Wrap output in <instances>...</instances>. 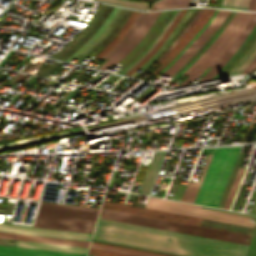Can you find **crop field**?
I'll list each match as a JSON object with an SVG mask.
<instances>
[{
	"label": "crop field",
	"instance_id": "crop-field-1",
	"mask_svg": "<svg viewBox=\"0 0 256 256\" xmlns=\"http://www.w3.org/2000/svg\"><path fill=\"white\" fill-rule=\"evenodd\" d=\"M93 238L190 256H245L248 247L101 218Z\"/></svg>",
	"mask_w": 256,
	"mask_h": 256
},
{
	"label": "crop field",
	"instance_id": "crop-field-11",
	"mask_svg": "<svg viewBox=\"0 0 256 256\" xmlns=\"http://www.w3.org/2000/svg\"><path fill=\"white\" fill-rule=\"evenodd\" d=\"M256 24V13H254L252 19L238 36V38L234 41V43L229 47V49L225 52V54L217 61V63L199 80H209L212 79L216 73L225 65V63L232 57L244 39L247 37L251 29ZM198 82V81H197Z\"/></svg>",
	"mask_w": 256,
	"mask_h": 256
},
{
	"label": "crop field",
	"instance_id": "crop-field-18",
	"mask_svg": "<svg viewBox=\"0 0 256 256\" xmlns=\"http://www.w3.org/2000/svg\"><path fill=\"white\" fill-rule=\"evenodd\" d=\"M146 13H142L140 12V14L137 16V18L135 19V21L133 22V24L131 25V27L129 28V30L127 31V33L125 34V36L123 37V39L112 49L110 50L105 56L104 58L109 59L112 55H114L122 46H124L128 40L130 39V37L132 36V34L134 33V31L136 30V28L139 26V24L141 23V21L143 20V18L145 17Z\"/></svg>",
	"mask_w": 256,
	"mask_h": 256
},
{
	"label": "crop field",
	"instance_id": "crop-field-13",
	"mask_svg": "<svg viewBox=\"0 0 256 256\" xmlns=\"http://www.w3.org/2000/svg\"><path fill=\"white\" fill-rule=\"evenodd\" d=\"M215 9H209L203 19L193 28V30L183 39V41L178 45V47L173 51V53L169 56V58L160 66L158 67L150 76H148L145 80L150 78L152 75H156L160 72L166 65H168L175 56L184 48V46L193 38V36L202 28V26L209 20L211 15Z\"/></svg>",
	"mask_w": 256,
	"mask_h": 256
},
{
	"label": "crop field",
	"instance_id": "crop-field-17",
	"mask_svg": "<svg viewBox=\"0 0 256 256\" xmlns=\"http://www.w3.org/2000/svg\"><path fill=\"white\" fill-rule=\"evenodd\" d=\"M118 10L119 8L114 7L112 11L109 13V15L107 16V18L102 23V25L99 27V29L75 53L69 56L65 61L69 62L78 54H82L89 47V45L104 31V29L107 27V25L112 20V18L114 17V15L117 13Z\"/></svg>",
	"mask_w": 256,
	"mask_h": 256
},
{
	"label": "crop field",
	"instance_id": "crop-field-12",
	"mask_svg": "<svg viewBox=\"0 0 256 256\" xmlns=\"http://www.w3.org/2000/svg\"><path fill=\"white\" fill-rule=\"evenodd\" d=\"M0 256H85L81 254L0 246Z\"/></svg>",
	"mask_w": 256,
	"mask_h": 256
},
{
	"label": "crop field",
	"instance_id": "crop-field-6",
	"mask_svg": "<svg viewBox=\"0 0 256 256\" xmlns=\"http://www.w3.org/2000/svg\"><path fill=\"white\" fill-rule=\"evenodd\" d=\"M147 208H153L158 210H164L174 213H180L185 215H191L196 217H202L207 219H213L218 221H224L234 224H240L253 227L255 223L246 222L247 216L235 215L220 211H214L201 208L199 205L186 204L180 202H174L164 199H158L149 197L146 206Z\"/></svg>",
	"mask_w": 256,
	"mask_h": 256
},
{
	"label": "crop field",
	"instance_id": "crop-field-4",
	"mask_svg": "<svg viewBox=\"0 0 256 256\" xmlns=\"http://www.w3.org/2000/svg\"><path fill=\"white\" fill-rule=\"evenodd\" d=\"M99 216L103 218H108V219L130 222V223H135V224H140L145 226L167 229V230L188 233V234H193L198 236H204V237H209V238H214L219 240H225V241H230L235 243H241L246 245L249 244V240L251 237L249 235H243V234H238L233 232H227V231H222L217 229H211V228H206L201 226L168 221V220L152 218V217L136 215V214L120 212V211L104 209V208L101 209ZM246 239H248V241H246Z\"/></svg>",
	"mask_w": 256,
	"mask_h": 256
},
{
	"label": "crop field",
	"instance_id": "crop-field-9",
	"mask_svg": "<svg viewBox=\"0 0 256 256\" xmlns=\"http://www.w3.org/2000/svg\"><path fill=\"white\" fill-rule=\"evenodd\" d=\"M0 231L11 232V233H20V234H29V235L57 237V238H66V239L85 240V241H89L90 235H91V234H87V233L38 229V228L2 225V224H0Z\"/></svg>",
	"mask_w": 256,
	"mask_h": 256
},
{
	"label": "crop field",
	"instance_id": "crop-field-29",
	"mask_svg": "<svg viewBox=\"0 0 256 256\" xmlns=\"http://www.w3.org/2000/svg\"><path fill=\"white\" fill-rule=\"evenodd\" d=\"M208 11L207 8H205V10L203 11V13L200 15V17L196 20V22L191 26V28L185 33V35L179 40V42L173 47V49L167 54V56L161 61L159 62L162 63L164 60H166L168 58V56L172 53V51L177 47V45L181 42V40L192 30V28L202 19V17L205 15V13ZM183 41V40H182Z\"/></svg>",
	"mask_w": 256,
	"mask_h": 256
},
{
	"label": "crop field",
	"instance_id": "crop-field-32",
	"mask_svg": "<svg viewBox=\"0 0 256 256\" xmlns=\"http://www.w3.org/2000/svg\"><path fill=\"white\" fill-rule=\"evenodd\" d=\"M139 14V12L136 13V15L134 16V18L131 20V22L129 23L127 29L124 31V33L121 35V37L114 43L112 44L103 54H101L98 59H101L111 48H113L124 36V34L126 33V31L128 30V28L130 27V25L132 24V22L134 21V19L136 18V16Z\"/></svg>",
	"mask_w": 256,
	"mask_h": 256
},
{
	"label": "crop field",
	"instance_id": "crop-field-14",
	"mask_svg": "<svg viewBox=\"0 0 256 256\" xmlns=\"http://www.w3.org/2000/svg\"><path fill=\"white\" fill-rule=\"evenodd\" d=\"M16 246L85 254L87 248L17 240Z\"/></svg>",
	"mask_w": 256,
	"mask_h": 256
},
{
	"label": "crop field",
	"instance_id": "crop-field-5",
	"mask_svg": "<svg viewBox=\"0 0 256 256\" xmlns=\"http://www.w3.org/2000/svg\"><path fill=\"white\" fill-rule=\"evenodd\" d=\"M253 13L239 12L221 32V34L212 42V44L204 51L199 59L191 65L184 74L189 77L186 78L181 84L185 85L199 76L208 66L212 67L213 64L224 54L228 47L237 38L243 28L251 19Z\"/></svg>",
	"mask_w": 256,
	"mask_h": 256
},
{
	"label": "crop field",
	"instance_id": "crop-field-16",
	"mask_svg": "<svg viewBox=\"0 0 256 256\" xmlns=\"http://www.w3.org/2000/svg\"><path fill=\"white\" fill-rule=\"evenodd\" d=\"M188 9H184L180 12V14L177 16V18L174 20V22L171 24V26L168 28V30L164 33V35L161 37V39L158 41V43L155 45V47L152 49V51L143 58L134 68H132L125 76H131L134 74L146 61H148L159 49V47L162 45V43L165 41V39L168 37V35L171 33V31L174 29V27L177 25V23L180 21V19L183 17V15L187 12Z\"/></svg>",
	"mask_w": 256,
	"mask_h": 256
},
{
	"label": "crop field",
	"instance_id": "crop-field-36",
	"mask_svg": "<svg viewBox=\"0 0 256 256\" xmlns=\"http://www.w3.org/2000/svg\"><path fill=\"white\" fill-rule=\"evenodd\" d=\"M93 244H99V245H105V246H110V247L122 248V249L133 250V251H139V252L150 253V254H156V255H161V256H167V255H162V254H157V253H151V252H146V251H140V250H135V249H129V248H124V247H118V246H113V245H107V244H102V243H96V242H93Z\"/></svg>",
	"mask_w": 256,
	"mask_h": 256
},
{
	"label": "crop field",
	"instance_id": "crop-field-31",
	"mask_svg": "<svg viewBox=\"0 0 256 256\" xmlns=\"http://www.w3.org/2000/svg\"><path fill=\"white\" fill-rule=\"evenodd\" d=\"M256 55V48L252 52V54L246 59V61L233 73V74H238L243 71V69L249 64V62L253 59V57Z\"/></svg>",
	"mask_w": 256,
	"mask_h": 256
},
{
	"label": "crop field",
	"instance_id": "crop-field-21",
	"mask_svg": "<svg viewBox=\"0 0 256 256\" xmlns=\"http://www.w3.org/2000/svg\"><path fill=\"white\" fill-rule=\"evenodd\" d=\"M0 235L41 239V240H50V241H58V242H67V243H76V244H84V245H88V243H89V242H85V241L66 240V239H57V238H48V237H39V236H29V235L11 234V233H3V232H0Z\"/></svg>",
	"mask_w": 256,
	"mask_h": 256
},
{
	"label": "crop field",
	"instance_id": "crop-field-33",
	"mask_svg": "<svg viewBox=\"0 0 256 256\" xmlns=\"http://www.w3.org/2000/svg\"><path fill=\"white\" fill-rule=\"evenodd\" d=\"M247 256H256V237H252L250 248Z\"/></svg>",
	"mask_w": 256,
	"mask_h": 256
},
{
	"label": "crop field",
	"instance_id": "crop-field-24",
	"mask_svg": "<svg viewBox=\"0 0 256 256\" xmlns=\"http://www.w3.org/2000/svg\"><path fill=\"white\" fill-rule=\"evenodd\" d=\"M181 10H178L177 13L173 16V18L169 21V23L165 26V28L162 30V32L159 34V36L156 38V40L153 42V44L149 47V49L132 65L130 66L122 75L127 73L132 67H134L145 55H147L150 50L153 48V46L157 43V41L160 39V37L163 35V33L167 30V28L170 26V24L173 22V20L176 18V16L179 14Z\"/></svg>",
	"mask_w": 256,
	"mask_h": 256
},
{
	"label": "crop field",
	"instance_id": "crop-field-26",
	"mask_svg": "<svg viewBox=\"0 0 256 256\" xmlns=\"http://www.w3.org/2000/svg\"><path fill=\"white\" fill-rule=\"evenodd\" d=\"M90 247L98 248V249H103V250H108V251L119 252V253H124V254H130V255H135V256H155V255H149V254H144V253L132 252V251L121 250V249L110 248V247H104V246L93 245V244H91Z\"/></svg>",
	"mask_w": 256,
	"mask_h": 256
},
{
	"label": "crop field",
	"instance_id": "crop-field-38",
	"mask_svg": "<svg viewBox=\"0 0 256 256\" xmlns=\"http://www.w3.org/2000/svg\"><path fill=\"white\" fill-rule=\"evenodd\" d=\"M88 256H90V255H88Z\"/></svg>",
	"mask_w": 256,
	"mask_h": 256
},
{
	"label": "crop field",
	"instance_id": "crop-field-28",
	"mask_svg": "<svg viewBox=\"0 0 256 256\" xmlns=\"http://www.w3.org/2000/svg\"><path fill=\"white\" fill-rule=\"evenodd\" d=\"M204 8H201L197 15L193 18V20L189 23V25L185 28V30L181 33V35L176 39V41L170 46V48L164 53V55L157 61V63L162 60L166 54L172 49V47L178 42V40L184 35V33L189 29V27L195 22V20L199 17Z\"/></svg>",
	"mask_w": 256,
	"mask_h": 256
},
{
	"label": "crop field",
	"instance_id": "crop-field-7",
	"mask_svg": "<svg viewBox=\"0 0 256 256\" xmlns=\"http://www.w3.org/2000/svg\"><path fill=\"white\" fill-rule=\"evenodd\" d=\"M228 13L229 11L227 10L216 9L204 27L195 35V37L186 45V47L177 55V57L160 73L171 76L175 71H177L220 26Z\"/></svg>",
	"mask_w": 256,
	"mask_h": 256
},
{
	"label": "crop field",
	"instance_id": "crop-field-27",
	"mask_svg": "<svg viewBox=\"0 0 256 256\" xmlns=\"http://www.w3.org/2000/svg\"><path fill=\"white\" fill-rule=\"evenodd\" d=\"M88 254L96 255V256H130V255H124V254L108 252V251L92 249V248L89 249V253Z\"/></svg>",
	"mask_w": 256,
	"mask_h": 256
},
{
	"label": "crop field",
	"instance_id": "crop-field-30",
	"mask_svg": "<svg viewBox=\"0 0 256 256\" xmlns=\"http://www.w3.org/2000/svg\"><path fill=\"white\" fill-rule=\"evenodd\" d=\"M137 12V11H136ZM135 11H133V13L131 14V16L129 17V19L126 21V23L124 24V26L121 28V30L119 31V33L116 35V37L101 51L99 52L95 58H97L101 53H103L112 43H114L119 36L121 35V33L123 32V30L125 29V27L127 26V24L129 23V21L131 20V18L133 17Z\"/></svg>",
	"mask_w": 256,
	"mask_h": 256
},
{
	"label": "crop field",
	"instance_id": "crop-field-2",
	"mask_svg": "<svg viewBox=\"0 0 256 256\" xmlns=\"http://www.w3.org/2000/svg\"><path fill=\"white\" fill-rule=\"evenodd\" d=\"M98 209L41 202L34 227L91 233Z\"/></svg>",
	"mask_w": 256,
	"mask_h": 256
},
{
	"label": "crop field",
	"instance_id": "crop-field-15",
	"mask_svg": "<svg viewBox=\"0 0 256 256\" xmlns=\"http://www.w3.org/2000/svg\"><path fill=\"white\" fill-rule=\"evenodd\" d=\"M164 154H165V151H159V152L155 153V155L148 167L147 173L143 179V182L141 184V187L139 190L140 193H146V194L149 193Z\"/></svg>",
	"mask_w": 256,
	"mask_h": 256
},
{
	"label": "crop field",
	"instance_id": "crop-field-37",
	"mask_svg": "<svg viewBox=\"0 0 256 256\" xmlns=\"http://www.w3.org/2000/svg\"><path fill=\"white\" fill-rule=\"evenodd\" d=\"M249 10L256 11V0H251Z\"/></svg>",
	"mask_w": 256,
	"mask_h": 256
},
{
	"label": "crop field",
	"instance_id": "crop-field-19",
	"mask_svg": "<svg viewBox=\"0 0 256 256\" xmlns=\"http://www.w3.org/2000/svg\"><path fill=\"white\" fill-rule=\"evenodd\" d=\"M211 155H212V154H210V155L208 156V158H207V161H206V163H205V165H204V168H203V170H202V173H201V176H200V179H199L198 183L189 181L181 200L187 201V202H191V203L193 202L194 197H195V195H196V192H197V190H198V187H199V185H200V182H201V180H202V177H203V175H204V172H205V170H206V167H207V165H208V162H209V160H210Z\"/></svg>",
	"mask_w": 256,
	"mask_h": 256
},
{
	"label": "crop field",
	"instance_id": "crop-field-25",
	"mask_svg": "<svg viewBox=\"0 0 256 256\" xmlns=\"http://www.w3.org/2000/svg\"><path fill=\"white\" fill-rule=\"evenodd\" d=\"M243 171H244V169H241V168H240L239 171H238V174H237V176H236L235 182H234V184H233V187H232L231 192H230V194H229L228 200H227L226 205H225V207H224V208H226V209H229V207H230V205H231L232 199H233L234 194H235V192H236V189H237V186H238L239 181H240V179H241V176H242Z\"/></svg>",
	"mask_w": 256,
	"mask_h": 256
},
{
	"label": "crop field",
	"instance_id": "crop-field-3",
	"mask_svg": "<svg viewBox=\"0 0 256 256\" xmlns=\"http://www.w3.org/2000/svg\"><path fill=\"white\" fill-rule=\"evenodd\" d=\"M240 148H216L193 203L216 207Z\"/></svg>",
	"mask_w": 256,
	"mask_h": 256
},
{
	"label": "crop field",
	"instance_id": "crop-field-34",
	"mask_svg": "<svg viewBox=\"0 0 256 256\" xmlns=\"http://www.w3.org/2000/svg\"><path fill=\"white\" fill-rule=\"evenodd\" d=\"M0 237H3V238H12V239H21V240H30V241H39V242H48V243H56V244H65V245H74V246H83V247H87V246H84V245L67 244V243H58V242L41 241V240H32V239H24V238L5 237V236H0Z\"/></svg>",
	"mask_w": 256,
	"mask_h": 256
},
{
	"label": "crop field",
	"instance_id": "crop-field-8",
	"mask_svg": "<svg viewBox=\"0 0 256 256\" xmlns=\"http://www.w3.org/2000/svg\"><path fill=\"white\" fill-rule=\"evenodd\" d=\"M102 207L131 212V213H137V214H142L147 216H153V217H158L163 219H169L174 221H180V222H185L190 224H196V225H198L201 220L199 218L183 216V215H178V214H173V213H168L163 211H157V210H152V209H147L142 207L106 202V201L103 202Z\"/></svg>",
	"mask_w": 256,
	"mask_h": 256
},
{
	"label": "crop field",
	"instance_id": "crop-field-23",
	"mask_svg": "<svg viewBox=\"0 0 256 256\" xmlns=\"http://www.w3.org/2000/svg\"><path fill=\"white\" fill-rule=\"evenodd\" d=\"M107 2L137 9H147L149 6V4L146 3H139L129 0H108Z\"/></svg>",
	"mask_w": 256,
	"mask_h": 256
},
{
	"label": "crop field",
	"instance_id": "crop-field-20",
	"mask_svg": "<svg viewBox=\"0 0 256 256\" xmlns=\"http://www.w3.org/2000/svg\"><path fill=\"white\" fill-rule=\"evenodd\" d=\"M190 0H161L152 5L151 9H163L189 6Z\"/></svg>",
	"mask_w": 256,
	"mask_h": 256
},
{
	"label": "crop field",
	"instance_id": "crop-field-35",
	"mask_svg": "<svg viewBox=\"0 0 256 256\" xmlns=\"http://www.w3.org/2000/svg\"><path fill=\"white\" fill-rule=\"evenodd\" d=\"M254 68H256V56L254 57V59L250 62V64L245 68V70L242 73H248L251 70H253Z\"/></svg>",
	"mask_w": 256,
	"mask_h": 256
},
{
	"label": "crop field",
	"instance_id": "crop-field-10",
	"mask_svg": "<svg viewBox=\"0 0 256 256\" xmlns=\"http://www.w3.org/2000/svg\"><path fill=\"white\" fill-rule=\"evenodd\" d=\"M160 13V11L155 12H148L147 16L145 17L142 24L139 26L137 31L134 33L132 38L129 40V42L121 48L112 58H110L103 66H101L99 69H106L109 66H111L112 63L116 64L120 59H122L130 50H132L136 44L139 42L141 37L144 35L146 30L149 28L151 23L154 21V19L157 17V15Z\"/></svg>",
	"mask_w": 256,
	"mask_h": 256
},
{
	"label": "crop field",
	"instance_id": "crop-field-22",
	"mask_svg": "<svg viewBox=\"0 0 256 256\" xmlns=\"http://www.w3.org/2000/svg\"><path fill=\"white\" fill-rule=\"evenodd\" d=\"M250 0H223L221 8L248 10Z\"/></svg>",
	"mask_w": 256,
	"mask_h": 256
}]
</instances>
